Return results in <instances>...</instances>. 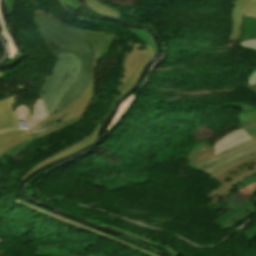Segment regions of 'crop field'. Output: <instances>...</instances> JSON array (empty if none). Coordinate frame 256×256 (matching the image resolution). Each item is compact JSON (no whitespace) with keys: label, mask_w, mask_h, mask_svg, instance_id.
Returning <instances> with one entry per match:
<instances>
[{"label":"crop field","mask_w":256,"mask_h":256,"mask_svg":"<svg viewBox=\"0 0 256 256\" xmlns=\"http://www.w3.org/2000/svg\"><path fill=\"white\" fill-rule=\"evenodd\" d=\"M52 17L34 12L38 33L55 57L53 75L45 78L39 94L48 114L59 112L86 89L95 56L91 43L80 30Z\"/></svg>","instance_id":"crop-field-1"},{"label":"crop field","mask_w":256,"mask_h":256,"mask_svg":"<svg viewBox=\"0 0 256 256\" xmlns=\"http://www.w3.org/2000/svg\"><path fill=\"white\" fill-rule=\"evenodd\" d=\"M130 30L146 43V48L141 47L140 44L131 43V48H130L128 58L126 61L124 74H123L122 82L120 85L119 96H118L117 100H119L128 90H130L133 87L139 74L142 71V67L147 63V61L153 56V54L157 50L156 44L149 32L143 31L140 29H130ZM117 100H116V102H117ZM102 123H98L95 130L88 137L71 145L70 147L66 148L65 150L59 152L58 154L54 155L53 157L45 160L44 162L38 164L34 168L27 171L26 174L23 176L22 180L25 177H27V175L31 174V172L37 170L38 168H40L50 162L58 160L62 157H65V156L93 143V141L95 139H97V131Z\"/></svg>","instance_id":"crop-field-2"},{"label":"crop field","mask_w":256,"mask_h":256,"mask_svg":"<svg viewBox=\"0 0 256 256\" xmlns=\"http://www.w3.org/2000/svg\"><path fill=\"white\" fill-rule=\"evenodd\" d=\"M255 174L256 153L249 157L236 161L233 164L228 165L221 169L220 171L216 172L215 174L211 175V177L218 181L222 186L214 189L213 192H210L202 196L205 199L210 197V199H212L213 201L207 204V207L219 201L226 195L232 193L230 189L233 185Z\"/></svg>","instance_id":"crop-field-3"},{"label":"crop field","mask_w":256,"mask_h":256,"mask_svg":"<svg viewBox=\"0 0 256 256\" xmlns=\"http://www.w3.org/2000/svg\"><path fill=\"white\" fill-rule=\"evenodd\" d=\"M112 42H113V37H111V36L99 41V43L94 48L95 52H96V57H95V62H94L92 80H91L88 88L83 93H81L70 105H68L66 108L61 110L59 113L50 115L47 122L41 126L42 127L41 130L47 128L48 126H50L56 122L63 121V120H66V119H69V118H72L74 116L84 113V111L88 107L92 97L94 96V92H95L94 69H95V65L97 62V58L100 55L107 53Z\"/></svg>","instance_id":"crop-field-4"},{"label":"crop field","mask_w":256,"mask_h":256,"mask_svg":"<svg viewBox=\"0 0 256 256\" xmlns=\"http://www.w3.org/2000/svg\"><path fill=\"white\" fill-rule=\"evenodd\" d=\"M13 107L18 119L24 120L28 128L41 126L48 116L40 99L14 100Z\"/></svg>","instance_id":"crop-field-5"},{"label":"crop field","mask_w":256,"mask_h":256,"mask_svg":"<svg viewBox=\"0 0 256 256\" xmlns=\"http://www.w3.org/2000/svg\"><path fill=\"white\" fill-rule=\"evenodd\" d=\"M32 140L31 134H26L25 130H9L0 133V155L4 153L14 156Z\"/></svg>","instance_id":"crop-field-6"},{"label":"crop field","mask_w":256,"mask_h":256,"mask_svg":"<svg viewBox=\"0 0 256 256\" xmlns=\"http://www.w3.org/2000/svg\"><path fill=\"white\" fill-rule=\"evenodd\" d=\"M255 3L256 0H234V2L229 6L230 10L232 11L233 19V28L229 40H238L242 15Z\"/></svg>","instance_id":"crop-field-7"},{"label":"crop field","mask_w":256,"mask_h":256,"mask_svg":"<svg viewBox=\"0 0 256 256\" xmlns=\"http://www.w3.org/2000/svg\"><path fill=\"white\" fill-rule=\"evenodd\" d=\"M215 147L213 144L205 141L194 148L187 159L190 160L188 166L195 169L197 166L215 155Z\"/></svg>","instance_id":"crop-field-8"},{"label":"crop field","mask_w":256,"mask_h":256,"mask_svg":"<svg viewBox=\"0 0 256 256\" xmlns=\"http://www.w3.org/2000/svg\"><path fill=\"white\" fill-rule=\"evenodd\" d=\"M243 88H247L254 93H256V85L252 86H245ZM218 106V105H215ZM225 107H236L242 109V115L237 116L239 122L241 123L243 129L249 134L253 135L256 134V127H249V128H244V122H249L252 123V125H256V107H250V106H245V105H233V106H225Z\"/></svg>","instance_id":"crop-field-9"},{"label":"crop field","mask_w":256,"mask_h":256,"mask_svg":"<svg viewBox=\"0 0 256 256\" xmlns=\"http://www.w3.org/2000/svg\"><path fill=\"white\" fill-rule=\"evenodd\" d=\"M12 98L0 101V131L19 128L12 109Z\"/></svg>","instance_id":"crop-field-10"},{"label":"crop field","mask_w":256,"mask_h":256,"mask_svg":"<svg viewBox=\"0 0 256 256\" xmlns=\"http://www.w3.org/2000/svg\"><path fill=\"white\" fill-rule=\"evenodd\" d=\"M249 139H251L250 136L243 129L236 130L230 133L229 135L225 136L224 138H222L216 144H214L217 149L216 154L222 151H225Z\"/></svg>","instance_id":"crop-field-11"},{"label":"crop field","mask_w":256,"mask_h":256,"mask_svg":"<svg viewBox=\"0 0 256 256\" xmlns=\"http://www.w3.org/2000/svg\"><path fill=\"white\" fill-rule=\"evenodd\" d=\"M256 152V145L247 149H244L236 154H233L229 157H226L214 164H212L210 167H208L207 169H205L203 172H205L208 175H211L213 173H215L216 171L220 170L222 167L236 161L239 160L241 158H244L252 153Z\"/></svg>","instance_id":"crop-field-12"},{"label":"crop field","mask_w":256,"mask_h":256,"mask_svg":"<svg viewBox=\"0 0 256 256\" xmlns=\"http://www.w3.org/2000/svg\"><path fill=\"white\" fill-rule=\"evenodd\" d=\"M82 118H84V117L79 116V117L73 118V119L68 120V121L60 122L61 125H58L59 123L55 124L52 127L44 130V132H41V133H32V132H30V133L32 134V136L35 140L40 139V138H44V137H46V136H48V135H50V134H52V133L70 125V124H72V123H75V122L79 121Z\"/></svg>","instance_id":"crop-field-13"},{"label":"crop field","mask_w":256,"mask_h":256,"mask_svg":"<svg viewBox=\"0 0 256 256\" xmlns=\"http://www.w3.org/2000/svg\"><path fill=\"white\" fill-rule=\"evenodd\" d=\"M86 3L98 13L117 17L121 12L99 2L98 0H85Z\"/></svg>","instance_id":"crop-field-14"},{"label":"crop field","mask_w":256,"mask_h":256,"mask_svg":"<svg viewBox=\"0 0 256 256\" xmlns=\"http://www.w3.org/2000/svg\"><path fill=\"white\" fill-rule=\"evenodd\" d=\"M0 26H1L2 30H3V31H0V35H1V37L4 36V38L8 42V43H6L8 49H9V54H8L7 58L8 59L14 58L15 54H16V48H15V45H14V43L12 41V38L9 35V27L5 25L4 19L2 18L1 13H0Z\"/></svg>","instance_id":"crop-field-15"},{"label":"crop field","mask_w":256,"mask_h":256,"mask_svg":"<svg viewBox=\"0 0 256 256\" xmlns=\"http://www.w3.org/2000/svg\"><path fill=\"white\" fill-rule=\"evenodd\" d=\"M256 210V207L253 205L250 206L249 208L245 209L244 211L240 212L237 216H235L232 220L227 222L222 226L223 229H229L233 227L235 224L239 223L242 219L246 218L249 216L251 213H253Z\"/></svg>","instance_id":"crop-field-16"},{"label":"crop field","mask_w":256,"mask_h":256,"mask_svg":"<svg viewBox=\"0 0 256 256\" xmlns=\"http://www.w3.org/2000/svg\"><path fill=\"white\" fill-rule=\"evenodd\" d=\"M57 1H60V0H57ZM61 1L65 3L67 6L74 9L75 11L80 7V5L76 3V0H61ZM13 4H14V0H6L9 16H12Z\"/></svg>","instance_id":"crop-field-17"},{"label":"crop field","mask_w":256,"mask_h":256,"mask_svg":"<svg viewBox=\"0 0 256 256\" xmlns=\"http://www.w3.org/2000/svg\"><path fill=\"white\" fill-rule=\"evenodd\" d=\"M81 31L90 39L93 47H95V45L99 40L108 36L107 34L101 33V32L85 31V30H81Z\"/></svg>","instance_id":"crop-field-18"},{"label":"crop field","mask_w":256,"mask_h":256,"mask_svg":"<svg viewBox=\"0 0 256 256\" xmlns=\"http://www.w3.org/2000/svg\"><path fill=\"white\" fill-rule=\"evenodd\" d=\"M243 46L249 47V48H256V39L248 40L244 43H242ZM256 83V72L250 76L248 85L255 84Z\"/></svg>","instance_id":"crop-field-19"},{"label":"crop field","mask_w":256,"mask_h":256,"mask_svg":"<svg viewBox=\"0 0 256 256\" xmlns=\"http://www.w3.org/2000/svg\"><path fill=\"white\" fill-rule=\"evenodd\" d=\"M101 224H102V223H101ZM103 225H106V224H103ZM107 226H109V225H107ZM110 227H112V226H110ZM112 228H114V227H112ZM115 229H117V228H115ZM117 230H120V229H117ZM120 231L125 232V231H123V230H120ZM125 233L130 234V235H132V236H135V237H137V238H139V239H141V240H145V241L152 242L153 244H156V245L162 247L164 251L168 252V253L171 254L172 256H178V255H179L178 253H176V252H174V251H172V250H170V249H168V248H166V247H164V246H162V245H160V244H158V243H156V242H154V241L148 240V239L143 238V237H140V236H138V235H133V234L128 233V232H125Z\"/></svg>","instance_id":"crop-field-20"},{"label":"crop field","mask_w":256,"mask_h":256,"mask_svg":"<svg viewBox=\"0 0 256 256\" xmlns=\"http://www.w3.org/2000/svg\"><path fill=\"white\" fill-rule=\"evenodd\" d=\"M132 98H133V95H131V96L127 99V101H125V102H123V103L121 104V106H120V108H119V110H118V112H117V114H116V116H115V118H114L112 124L110 125V127H111V126L114 124V122L121 116V114L126 110V108L128 107V105L130 104ZM110 127H109V128H110ZM109 128H108V130H109ZM108 130H107V131H108ZM107 131H106V132H107Z\"/></svg>","instance_id":"crop-field-21"},{"label":"crop field","mask_w":256,"mask_h":256,"mask_svg":"<svg viewBox=\"0 0 256 256\" xmlns=\"http://www.w3.org/2000/svg\"><path fill=\"white\" fill-rule=\"evenodd\" d=\"M243 16L256 18V4L248 12H246Z\"/></svg>","instance_id":"crop-field-22"},{"label":"crop field","mask_w":256,"mask_h":256,"mask_svg":"<svg viewBox=\"0 0 256 256\" xmlns=\"http://www.w3.org/2000/svg\"><path fill=\"white\" fill-rule=\"evenodd\" d=\"M3 75H2V73L0 72V77H2Z\"/></svg>","instance_id":"crop-field-23"},{"label":"crop field","mask_w":256,"mask_h":256,"mask_svg":"<svg viewBox=\"0 0 256 256\" xmlns=\"http://www.w3.org/2000/svg\"><path fill=\"white\" fill-rule=\"evenodd\" d=\"M255 140H256V138H255Z\"/></svg>","instance_id":"crop-field-24"}]
</instances>
